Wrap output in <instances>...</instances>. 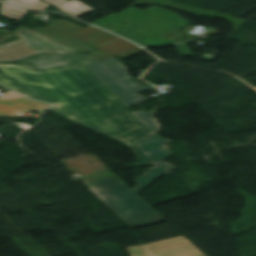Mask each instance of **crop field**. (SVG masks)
<instances>
[{
	"label": "crop field",
	"instance_id": "crop-field-9",
	"mask_svg": "<svg viewBox=\"0 0 256 256\" xmlns=\"http://www.w3.org/2000/svg\"><path fill=\"white\" fill-rule=\"evenodd\" d=\"M91 46L97 48L98 50H94L87 54L99 60L110 58L113 56H119L122 59H126L134 54L143 51V49H141L140 47L116 36L98 42Z\"/></svg>",
	"mask_w": 256,
	"mask_h": 256
},
{
	"label": "crop field",
	"instance_id": "crop-field-3",
	"mask_svg": "<svg viewBox=\"0 0 256 256\" xmlns=\"http://www.w3.org/2000/svg\"><path fill=\"white\" fill-rule=\"evenodd\" d=\"M187 23L175 13L164 9L151 7L141 12L131 7L92 24L143 46H151L178 43L164 35Z\"/></svg>",
	"mask_w": 256,
	"mask_h": 256
},
{
	"label": "crop field",
	"instance_id": "crop-field-6",
	"mask_svg": "<svg viewBox=\"0 0 256 256\" xmlns=\"http://www.w3.org/2000/svg\"><path fill=\"white\" fill-rule=\"evenodd\" d=\"M47 22L51 25L32 29L81 52L94 50L88 45L112 35L94 26L89 25L83 28L65 19L49 20Z\"/></svg>",
	"mask_w": 256,
	"mask_h": 256
},
{
	"label": "crop field",
	"instance_id": "crop-field-11",
	"mask_svg": "<svg viewBox=\"0 0 256 256\" xmlns=\"http://www.w3.org/2000/svg\"><path fill=\"white\" fill-rule=\"evenodd\" d=\"M97 61V59L86 54L71 55H40L18 64L29 69H44L58 66H71Z\"/></svg>",
	"mask_w": 256,
	"mask_h": 256
},
{
	"label": "crop field",
	"instance_id": "crop-field-8",
	"mask_svg": "<svg viewBox=\"0 0 256 256\" xmlns=\"http://www.w3.org/2000/svg\"><path fill=\"white\" fill-rule=\"evenodd\" d=\"M139 147L149 156V158L157 165L146 172L138 179L139 186L133 189L136 193L143 187L154 181L162 174L174 169V167L162 161V159L171 155L170 151L163 144L169 140L162 139L155 134L147 135L134 140ZM168 154H165V153Z\"/></svg>",
	"mask_w": 256,
	"mask_h": 256
},
{
	"label": "crop field",
	"instance_id": "crop-field-10",
	"mask_svg": "<svg viewBox=\"0 0 256 256\" xmlns=\"http://www.w3.org/2000/svg\"><path fill=\"white\" fill-rule=\"evenodd\" d=\"M50 4L54 5L56 8L64 11L65 13L78 18L82 15L90 13L94 11L93 9L89 8L88 6L82 4L77 0H45ZM6 3H10L19 7L27 8L30 10L42 11L48 6V3L41 2L40 0H9L3 1Z\"/></svg>",
	"mask_w": 256,
	"mask_h": 256
},
{
	"label": "crop field",
	"instance_id": "crop-field-15",
	"mask_svg": "<svg viewBox=\"0 0 256 256\" xmlns=\"http://www.w3.org/2000/svg\"><path fill=\"white\" fill-rule=\"evenodd\" d=\"M150 130H152L153 132L158 131V125L157 123L154 121V119L152 118V114L153 111L151 112H135L134 113Z\"/></svg>",
	"mask_w": 256,
	"mask_h": 256
},
{
	"label": "crop field",
	"instance_id": "crop-field-18",
	"mask_svg": "<svg viewBox=\"0 0 256 256\" xmlns=\"http://www.w3.org/2000/svg\"><path fill=\"white\" fill-rule=\"evenodd\" d=\"M144 100H147V99L139 94L121 99V101L124 102L127 105V107L134 105L136 103L142 102Z\"/></svg>",
	"mask_w": 256,
	"mask_h": 256
},
{
	"label": "crop field",
	"instance_id": "crop-field-2",
	"mask_svg": "<svg viewBox=\"0 0 256 256\" xmlns=\"http://www.w3.org/2000/svg\"><path fill=\"white\" fill-rule=\"evenodd\" d=\"M0 72L35 99L53 104L103 84L82 65L34 71L18 64H0Z\"/></svg>",
	"mask_w": 256,
	"mask_h": 256
},
{
	"label": "crop field",
	"instance_id": "crop-field-5",
	"mask_svg": "<svg viewBox=\"0 0 256 256\" xmlns=\"http://www.w3.org/2000/svg\"><path fill=\"white\" fill-rule=\"evenodd\" d=\"M11 33L19 39L0 46V63L16 62L39 53L79 52L25 26Z\"/></svg>",
	"mask_w": 256,
	"mask_h": 256
},
{
	"label": "crop field",
	"instance_id": "crop-field-13",
	"mask_svg": "<svg viewBox=\"0 0 256 256\" xmlns=\"http://www.w3.org/2000/svg\"><path fill=\"white\" fill-rule=\"evenodd\" d=\"M187 245H191V243L181 236L143 246H131L126 250L130 252L131 256H146Z\"/></svg>",
	"mask_w": 256,
	"mask_h": 256
},
{
	"label": "crop field",
	"instance_id": "crop-field-19",
	"mask_svg": "<svg viewBox=\"0 0 256 256\" xmlns=\"http://www.w3.org/2000/svg\"><path fill=\"white\" fill-rule=\"evenodd\" d=\"M64 109V108H63ZM67 110V109H66ZM69 111V110H68ZM70 112H72V111H70ZM73 113H75V112H73ZM75 114H77V113H75ZM79 115V114H78ZM81 116V115H80ZM83 117V116H82ZM83 118H85V117H83ZM85 119H87V118H85ZM88 120V119H87ZM90 121V120H89Z\"/></svg>",
	"mask_w": 256,
	"mask_h": 256
},
{
	"label": "crop field",
	"instance_id": "crop-field-14",
	"mask_svg": "<svg viewBox=\"0 0 256 256\" xmlns=\"http://www.w3.org/2000/svg\"><path fill=\"white\" fill-rule=\"evenodd\" d=\"M151 256H205L194 245L151 255Z\"/></svg>",
	"mask_w": 256,
	"mask_h": 256
},
{
	"label": "crop field",
	"instance_id": "crop-field-12",
	"mask_svg": "<svg viewBox=\"0 0 256 256\" xmlns=\"http://www.w3.org/2000/svg\"><path fill=\"white\" fill-rule=\"evenodd\" d=\"M50 106L40 103L26 97L16 100H0V116H16L23 117V112L27 111H43Z\"/></svg>",
	"mask_w": 256,
	"mask_h": 256
},
{
	"label": "crop field",
	"instance_id": "crop-field-4",
	"mask_svg": "<svg viewBox=\"0 0 256 256\" xmlns=\"http://www.w3.org/2000/svg\"><path fill=\"white\" fill-rule=\"evenodd\" d=\"M93 186L90 189L131 228L164 221L116 176L98 180Z\"/></svg>",
	"mask_w": 256,
	"mask_h": 256
},
{
	"label": "crop field",
	"instance_id": "crop-field-1",
	"mask_svg": "<svg viewBox=\"0 0 256 256\" xmlns=\"http://www.w3.org/2000/svg\"><path fill=\"white\" fill-rule=\"evenodd\" d=\"M73 105L64 107L78 112L91 121L53 106L49 111L110 139L131 146L140 162L137 167L154 163L133 139L151 134L150 131L105 85L67 99Z\"/></svg>",
	"mask_w": 256,
	"mask_h": 256
},
{
	"label": "crop field",
	"instance_id": "crop-field-16",
	"mask_svg": "<svg viewBox=\"0 0 256 256\" xmlns=\"http://www.w3.org/2000/svg\"><path fill=\"white\" fill-rule=\"evenodd\" d=\"M11 9H13V10H15V11H18V12H21V13H23V14H19V13L13 12V11H11ZM3 11H6V12H9V13H12V14H15V15L19 16V18L14 17V16H11V15H8V14H5V13H3ZM26 12H27V10H23V9H19V8H16V7H12V6H8V5L2 4V10H1L0 13L3 14V15H5V16H8V17H10V18H12V19H14V20H20V19L24 16V14H25Z\"/></svg>",
	"mask_w": 256,
	"mask_h": 256
},
{
	"label": "crop field",
	"instance_id": "crop-field-17",
	"mask_svg": "<svg viewBox=\"0 0 256 256\" xmlns=\"http://www.w3.org/2000/svg\"><path fill=\"white\" fill-rule=\"evenodd\" d=\"M0 83L11 88L14 89L20 93H23L27 96H29L26 92H24L19 86H17L10 78L4 77V76H0ZM31 97V96H29Z\"/></svg>",
	"mask_w": 256,
	"mask_h": 256
},
{
	"label": "crop field",
	"instance_id": "crop-field-7",
	"mask_svg": "<svg viewBox=\"0 0 256 256\" xmlns=\"http://www.w3.org/2000/svg\"><path fill=\"white\" fill-rule=\"evenodd\" d=\"M101 80L119 99L131 96L149 87H142L127 76L124 65L113 58L83 65Z\"/></svg>",
	"mask_w": 256,
	"mask_h": 256
}]
</instances>
